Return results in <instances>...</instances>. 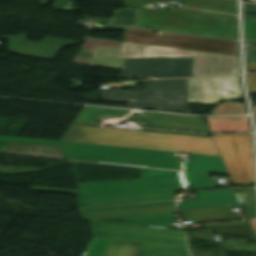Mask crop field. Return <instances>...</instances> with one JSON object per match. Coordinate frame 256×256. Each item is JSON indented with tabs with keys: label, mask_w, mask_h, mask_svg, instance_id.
Masks as SVG:
<instances>
[{
	"label": "crop field",
	"mask_w": 256,
	"mask_h": 256,
	"mask_svg": "<svg viewBox=\"0 0 256 256\" xmlns=\"http://www.w3.org/2000/svg\"><path fill=\"white\" fill-rule=\"evenodd\" d=\"M141 170V179L78 184V208L174 199L185 189L181 172Z\"/></svg>",
	"instance_id": "1"
},
{
	"label": "crop field",
	"mask_w": 256,
	"mask_h": 256,
	"mask_svg": "<svg viewBox=\"0 0 256 256\" xmlns=\"http://www.w3.org/2000/svg\"><path fill=\"white\" fill-rule=\"evenodd\" d=\"M61 141L220 156L213 138L71 125Z\"/></svg>",
	"instance_id": "2"
},
{
	"label": "crop field",
	"mask_w": 256,
	"mask_h": 256,
	"mask_svg": "<svg viewBox=\"0 0 256 256\" xmlns=\"http://www.w3.org/2000/svg\"><path fill=\"white\" fill-rule=\"evenodd\" d=\"M194 57L192 77L240 73L239 57L122 43V49L95 48L91 66L122 69L124 58Z\"/></svg>",
	"instance_id": "3"
},
{
	"label": "crop field",
	"mask_w": 256,
	"mask_h": 256,
	"mask_svg": "<svg viewBox=\"0 0 256 256\" xmlns=\"http://www.w3.org/2000/svg\"><path fill=\"white\" fill-rule=\"evenodd\" d=\"M93 237L141 242L135 256H190L187 232L90 222Z\"/></svg>",
	"instance_id": "4"
},
{
	"label": "crop field",
	"mask_w": 256,
	"mask_h": 256,
	"mask_svg": "<svg viewBox=\"0 0 256 256\" xmlns=\"http://www.w3.org/2000/svg\"><path fill=\"white\" fill-rule=\"evenodd\" d=\"M145 90L103 89L105 101L130 102L126 106L153 108L160 110L190 112L188 105L171 103H188L186 79L144 81Z\"/></svg>",
	"instance_id": "5"
},
{
	"label": "crop field",
	"mask_w": 256,
	"mask_h": 256,
	"mask_svg": "<svg viewBox=\"0 0 256 256\" xmlns=\"http://www.w3.org/2000/svg\"><path fill=\"white\" fill-rule=\"evenodd\" d=\"M124 31L123 42L239 56L238 41L115 26Z\"/></svg>",
	"instance_id": "6"
},
{
	"label": "crop field",
	"mask_w": 256,
	"mask_h": 256,
	"mask_svg": "<svg viewBox=\"0 0 256 256\" xmlns=\"http://www.w3.org/2000/svg\"><path fill=\"white\" fill-rule=\"evenodd\" d=\"M234 184L255 183L251 134L214 135Z\"/></svg>",
	"instance_id": "7"
},
{
	"label": "crop field",
	"mask_w": 256,
	"mask_h": 256,
	"mask_svg": "<svg viewBox=\"0 0 256 256\" xmlns=\"http://www.w3.org/2000/svg\"><path fill=\"white\" fill-rule=\"evenodd\" d=\"M239 76L187 79L189 103L214 104L241 98Z\"/></svg>",
	"instance_id": "8"
},
{
	"label": "crop field",
	"mask_w": 256,
	"mask_h": 256,
	"mask_svg": "<svg viewBox=\"0 0 256 256\" xmlns=\"http://www.w3.org/2000/svg\"><path fill=\"white\" fill-rule=\"evenodd\" d=\"M193 58L127 59L123 75L154 78L191 77Z\"/></svg>",
	"instance_id": "9"
},
{
	"label": "crop field",
	"mask_w": 256,
	"mask_h": 256,
	"mask_svg": "<svg viewBox=\"0 0 256 256\" xmlns=\"http://www.w3.org/2000/svg\"><path fill=\"white\" fill-rule=\"evenodd\" d=\"M9 43L11 53L26 57L54 60L61 48L75 44L76 42L45 37L41 43L26 41V34L16 36H1Z\"/></svg>",
	"instance_id": "10"
},
{
	"label": "crop field",
	"mask_w": 256,
	"mask_h": 256,
	"mask_svg": "<svg viewBox=\"0 0 256 256\" xmlns=\"http://www.w3.org/2000/svg\"><path fill=\"white\" fill-rule=\"evenodd\" d=\"M199 201L181 203V210L241 204L235 189L198 192Z\"/></svg>",
	"instance_id": "11"
},
{
	"label": "crop field",
	"mask_w": 256,
	"mask_h": 256,
	"mask_svg": "<svg viewBox=\"0 0 256 256\" xmlns=\"http://www.w3.org/2000/svg\"><path fill=\"white\" fill-rule=\"evenodd\" d=\"M170 212H175L174 205L97 211V212H85L80 214L84 218V220H86V219H95V218L123 217V216L147 215V214H158V213H170Z\"/></svg>",
	"instance_id": "12"
},
{
	"label": "crop field",
	"mask_w": 256,
	"mask_h": 256,
	"mask_svg": "<svg viewBox=\"0 0 256 256\" xmlns=\"http://www.w3.org/2000/svg\"><path fill=\"white\" fill-rule=\"evenodd\" d=\"M190 162H183L185 170L228 174L221 157L189 154Z\"/></svg>",
	"instance_id": "13"
},
{
	"label": "crop field",
	"mask_w": 256,
	"mask_h": 256,
	"mask_svg": "<svg viewBox=\"0 0 256 256\" xmlns=\"http://www.w3.org/2000/svg\"><path fill=\"white\" fill-rule=\"evenodd\" d=\"M181 212L184 220L235 217L232 214L230 206L195 209V210H183Z\"/></svg>",
	"instance_id": "14"
},
{
	"label": "crop field",
	"mask_w": 256,
	"mask_h": 256,
	"mask_svg": "<svg viewBox=\"0 0 256 256\" xmlns=\"http://www.w3.org/2000/svg\"><path fill=\"white\" fill-rule=\"evenodd\" d=\"M247 216V219L256 218V196L255 189H238L237 191Z\"/></svg>",
	"instance_id": "15"
},
{
	"label": "crop field",
	"mask_w": 256,
	"mask_h": 256,
	"mask_svg": "<svg viewBox=\"0 0 256 256\" xmlns=\"http://www.w3.org/2000/svg\"><path fill=\"white\" fill-rule=\"evenodd\" d=\"M139 243L114 240L106 256H133Z\"/></svg>",
	"instance_id": "16"
},
{
	"label": "crop field",
	"mask_w": 256,
	"mask_h": 256,
	"mask_svg": "<svg viewBox=\"0 0 256 256\" xmlns=\"http://www.w3.org/2000/svg\"><path fill=\"white\" fill-rule=\"evenodd\" d=\"M138 13L139 10L133 8L114 11L112 23L136 26Z\"/></svg>",
	"instance_id": "17"
},
{
	"label": "crop field",
	"mask_w": 256,
	"mask_h": 256,
	"mask_svg": "<svg viewBox=\"0 0 256 256\" xmlns=\"http://www.w3.org/2000/svg\"><path fill=\"white\" fill-rule=\"evenodd\" d=\"M112 241L93 238L83 256H105Z\"/></svg>",
	"instance_id": "18"
},
{
	"label": "crop field",
	"mask_w": 256,
	"mask_h": 256,
	"mask_svg": "<svg viewBox=\"0 0 256 256\" xmlns=\"http://www.w3.org/2000/svg\"><path fill=\"white\" fill-rule=\"evenodd\" d=\"M185 177L191 189L214 186L208 174L185 172Z\"/></svg>",
	"instance_id": "19"
},
{
	"label": "crop field",
	"mask_w": 256,
	"mask_h": 256,
	"mask_svg": "<svg viewBox=\"0 0 256 256\" xmlns=\"http://www.w3.org/2000/svg\"><path fill=\"white\" fill-rule=\"evenodd\" d=\"M218 114H247V111L244 103L224 102L211 111V115Z\"/></svg>",
	"instance_id": "20"
},
{
	"label": "crop field",
	"mask_w": 256,
	"mask_h": 256,
	"mask_svg": "<svg viewBox=\"0 0 256 256\" xmlns=\"http://www.w3.org/2000/svg\"><path fill=\"white\" fill-rule=\"evenodd\" d=\"M168 204H174V201L158 202V203H148V204H137V205H126V206H115V207H104V208H94V209H83V210H78V211L79 212H84V211H96V210L132 208V207H144V206H156V205H168Z\"/></svg>",
	"instance_id": "21"
},
{
	"label": "crop field",
	"mask_w": 256,
	"mask_h": 256,
	"mask_svg": "<svg viewBox=\"0 0 256 256\" xmlns=\"http://www.w3.org/2000/svg\"><path fill=\"white\" fill-rule=\"evenodd\" d=\"M32 191L77 195V191L33 187Z\"/></svg>",
	"instance_id": "22"
},
{
	"label": "crop field",
	"mask_w": 256,
	"mask_h": 256,
	"mask_svg": "<svg viewBox=\"0 0 256 256\" xmlns=\"http://www.w3.org/2000/svg\"><path fill=\"white\" fill-rule=\"evenodd\" d=\"M244 4H245V7L243 9L244 12L256 14L255 4H248V3H244ZM243 19L256 20V16L243 14Z\"/></svg>",
	"instance_id": "23"
},
{
	"label": "crop field",
	"mask_w": 256,
	"mask_h": 256,
	"mask_svg": "<svg viewBox=\"0 0 256 256\" xmlns=\"http://www.w3.org/2000/svg\"><path fill=\"white\" fill-rule=\"evenodd\" d=\"M242 225H251V224L249 221H239V222L209 224V225H204V226L205 227L208 226L209 228H215V227L242 226Z\"/></svg>",
	"instance_id": "24"
},
{
	"label": "crop field",
	"mask_w": 256,
	"mask_h": 256,
	"mask_svg": "<svg viewBox=\"0 0 256 256\" xmlns=\"http://www.w3.org/2000/svg\"><path fill=\"white\" fill-rule=\"evenodd\" d=\"M246 62H256V48H245Z\"/></svg>",
	"instance_id": "25"
},
{
	"label": "crop field",
	"mask_w": 256,
	"mask_h": 256,
	"mask_svg": "<svg viewBox=\"0 0 256 256\" xmlns=\"http://www.w3.org/2000/svg\"><path fill=\"white\" fill-rule=\"evenodd\" d=\"M251 93H256V73H247Z\"/></svg>",
	"instance_id": "26"
},
{
	"label": "crop field",
	"mask_w": 256,
	"mask_h": 256,
	"mask_svg": "<svg viewBox=\"0 0 256 256\" xmlns=\"http://www.w3.org/2000/svg\"><path fill=\"white\" fill-rule=\"evenodd\" d=\"M66 2L67 0H55L53 5L54 10L75 12L76 10L64 9Z\"/></svg>",
	"instance_id": "27"
},
{
	"label": "crop field",
	"mask_w": 256,
	"mask_h": 256,
	"mask_svg": "<svg viewBox=\"0 0 256 256\" xmlns=\"http://www.w3.org/2000/svg\"><path fill=\"white\" fill-rule=\"evenodd\" d=\"M241 219V217H235V218H223V219H207V220H197L195 223L199 222H212V221H224V220H236Z\"/></svg>",
	"instance_id": "28"
},
{
	"label": "crop field",
	"mask_w": 256,
	"mask_h": 256,
	"mask_svg": "<svg viewBox=\"0 0 256 256\" xmlns=\"http://www.w3.org/2000/svg\"><path fill=\"white\" fill-rule=\"evenodd\" d=\"M248 71H256V63H246Z\"/></svg>",
	"instance_id": "29"
},
{
	"label": "crop field",
	"mask_w": 256,
	"mask_h": 256,
	"mask_svg": "<svg viewBox=\"0 0 256 256\" xmlns=\"http://www.w3.org/2000/svg\"><path fill=\"white\" fill-rule=\"evenodd\" d=\"M250 222H251L252 227H253V229H254V231L256 233V220H253V221H250Z\"/></svg>",
	"instance_id": "30"
},
{
	"label": "crop field",
	"mask_w": 256,
	"mask_h": 256,
	"mask_svg": "<svg viewBox=\"0 0 256 256\" xmlns=\"http://www.w3.org/2000/svg\"><path fill=\"white\" fill-rule=\"evenodd\" d=\"M251 45H256V42H250Z\"/></svg>",
	"instance_id": "31"
},
{
	"label": "crop field",
	"mask_w": 256,
	"mask_h": 256,
	"mask_svg": "<svg viewBox=\"0 0 256 256\" xmlns=\"http://www.w3.org/2000/svg\"><path fill=\"white\" fill-rule=\"evenodd\" d=\"M2 198V197H1Z\"/></svg>",
	"instance_id": "32"
}]
</instances>
